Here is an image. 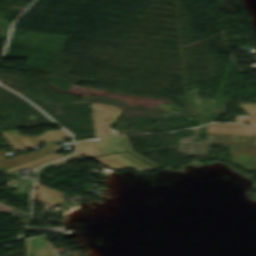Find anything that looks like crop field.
Wrapping results in <instances>:
<instances>
[{
  "label": "crop field",
  "mask_w": 256,
  "mask_h": 256,
  "mask_svg": "<svg viewBox=\"0 0 256 256\" xmlns=\"http://www.w3.org/2000/svg\"><path fill=\"white\" fill-rule=\"evenodd\" d=\"M210 145L230 146L231 162L245 169L256 170V137H216L208 138Z\"/></svg>",
  "instance_id": "crop-field-1"
},
{
  "label": "crop field",
  "mask_w": 256,
  "mask_h": 256,
  "mask_svg": "<svg viewBox=\"0 0 256 256\" xmlns=\"http://www.w3.org/2000/svg\"><path fill=\"white\" fill-rule=\"evenodd\" d=\"M90 110L92 111L91 116L94 123L95 137L118 134L111 130L108 124L118 115L119 108L111 105L90 103Z\"/></svg>",
  "instance_id": "crop-field-2"
},
{
  "label": "crop field",
  "mask_w": 256,
  "mask_h": 256,
  "mask_svg": "<svg viewBox=\"0 0 256 256\" xmlns=\"http://www.w3.org/2000/svg\"><path fill=\"white\" fill-rule=\"evenodd\" d=\"M112 156L137 172H146L156 169L155 167L133 157L127 152L115 154Z\"/></svg>",
  "instance_id": "crop-field-3"
},
{
  "label": "crop field",
  "mask_w": 256,
  "mask_h": 256,
  "mask_svg": "<svg viewBox=\"0 0 256 256\" xmlns=\"http://www.w3.org/2000/svg\"><path fill=\"white\" fill-rule=\"evenodd\" d=\"M108 153L126 151L122 137H108L90 140Z\"/></svg>",
  "instance_id": "crop-field-4"
},
{
  "label": "crop field",
  "mask_w": 256,
  "mask_h": 256,
  "mask_svg": "<svg viewBox=\"0 0 256 256\" xmlns=\"http://www.w3.org/2000/svg\"><path fill=\"white\" fill-rule=\"evenodd\" d=\"M91 159H93L105 166L113 168V169H127L128 168L125 165H123L122 163L118 162L115 158H113L110 155L92 157Z\"/></svg>",
  "instance_id": "crop-field-5"
},
{
  "label": "crop field",
  "mask_w": 256,
  "mask_h": 256,
  "mask_svg": "<svg viewBox=\"0 0 256 256\" xmlns=\"http://www.w3.org/2000/svg\"><path fill=\"white\" fill-rule=\"evenodd\" d=\"M249 117L235 116L236 122L256 123V105H241Z\"/></svg>",
  "instance_id": "crop-field-6"
},
{
  "label": "crop field",
  "mask_w": 256,
  "mask_h": 256,
  "mask_svg": "<svg viewBox=\"0 0 256 256\" xmlns=\"http://www.w3.org/2000/svg\"><path fill=\"white\" fill-rule=\"evenodd\" d=\"M24 244H25L26 256H30V254H32L30 239L29 240H25Z\"/></svg>",
  "instance_id": "crop-field-7"
},
{
  "label": "crop field",
  "mask_w": 256,
  "mask_h": 256,
  "mask_svg": "<svg viewBox=\"0 0 256 256\" xmlns=\"http://www.w3.org/2000/svg\"><path fill=\"white\" fill-rule=\"evenodd\" d=\"M127 137V136H126ZM126 137L124 136V139H125V142H126V144H127V146H128V148H129V151L131 152V153H133V154H135V155H137V156H139V157H141V158H143V159H145V160H147L146 158H144V157H142V156H140V155H138V154H136V153H134L132 150H131V147H130V145H129V143H128V141H127V139H126ZM148 162H150V163H152L151 161H149V160H147ZM152 164H154V163H152ZM154 165H156V164H154ZM157 166V165H156ZM157 167H159V166H157ZM160 168V167H159Z\"/></svg>",
  "instance_id": "crop-field-8"
},
{
  "label": "crop field",
  "mask_w": 256,
  "mask_h": 256,
  "mask_svg": "<svg viewBox=\"0 0 256 256\" xmlns=\"http://www.w3.org/2000/svg\"><path fill=\"white\" fill-rule=\"evenodd\" d=\"M67 162H69V161L64 160V159H61V160H59V161H57V162H54V163H52V164H50V165H53V166L59 167V166H61V165L65 164V163H67Z\"/></svg>",
  "instance_id": "crop-field-9"
},
{
  "label": "crop field",
  "mask_w": 256,
  "mask_h": 256,
  "mask_svg": "<svg viewBox=\"0 0 256 256\" xmlns=\"http://www.w3.org/2000/svg\"><path fill=\"white\" fill-rule=\"evenodd\" d=\"M65 159H68V160L72 161V160H74L75 158L67 157V158H65Z\"/></svg>",
  "instance_id": "crop-field-10"
}]
</instances>
